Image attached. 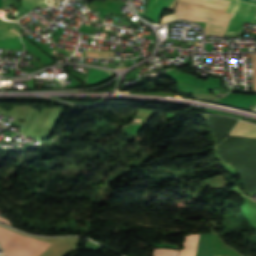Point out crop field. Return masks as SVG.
<instances>
[{
  "label": "crop field",
  "mask_w": 256,
  "mask_h": 256,
  "mask_svg": "<svg viewBox=\"0 0 256 256\" xmlns=\"http://www.w3.org/2000/svg\"><path fill=\"white\" fill-rule=\"evenodd\" d=\"M20 36L17 31L11 26L0 24V39H9Z\"/></svg>",
  "instance_id": "d8731c3e"
},
{
  "label": "crop field",
  "mask_w": 256,
  "mask_h": 256,
  "mask_svg": "<svg viewBox=\"0 0 256 256\" xmlns=\"http://www.w3.org/2000/svg\"><path fill=\"white\" fill-rule=\"evenodd\" d=\"M199 234L186 235L179 256H195ZM196 256H212L210 234H200Z\"/></svg>",
  "instance_id": "412701ff"
},
{
  "label": "crop field",
  "mask_w": 256,
  "mask_h": 256,
  "mask_svg": "<svg viewBox=\"0 0 256 256\" xmlns=\"http://www.w3.org/2000/svg\"><path fill=\"white\" fill-rule=\"evenodd\" d=\"M230 135L256 138V125L241 121L231 131Z\"/></svg>",
  "instance_id": "e52e79f7"
},
{
  "label": "crop field",
  "mask_w": 256,
  "mask_h": 256,
  "mask_svg": "<svg viewBox=\"0 0 256 256\" xmlns=\"http://www.w3.org/2000/svg\"><path fill=\"white\" fill-rule=\"evenodd\" d=\"M41 1L42 0H22V5L31 10L37 6L45 9L48 5L42 3Z\"/></svg>",
  "instance_id": "5a996713"
},
{
  "label": "crop field",
  "mask_w": 256,
  "mask_h": 256,
  "mask_svg": "<svg viewBox=\"0 0 256 256\" xmlns=\"http://www.w3.org/2000/svg\"><path fill=\"white\" fill-rule=\"evenodd\" d=\"M225 12L232 14L227 26L226 34L233 33L241 31L244 22H252L256 12V5L239 0H230Z\"/></svg>",
  "instance_id": "34b2d1b8"
},
{
  "label": "crop field",
  "mask_w": 256,
  "mask_h": 256,
  "mask_svg": "<svg viewBox=\"0 0 256 256\" xmlns=\"http://www.w3.org/2000/svg\"><path fill=\"white\" fill-rule=\"evenodd\" d=\"M0 221L11 225V223H10L8 220H6V219H4V218H2V217H0Z\"/></svg>",
  "instance_id": "d1516ede"
},
{
  "label": "crop field",
  "mask_w": 256,
  "mask_h": 256,
  "mask_svg": "<svg viewBox=\"0 0 256 256\" xmlns=\"http://www.w3.org/2000/svg\"><path fill=\"white\" fill-rule=\"evenodd\" d=\"M252 65H253L254 91H256V54H252Z\"/></svg>",
  "instance_id": "28ad6ade"
},
{
  "label": "crop field",
  "mask_w": 256,
  "mask_h": 256,
  "mask_svg": "<svg viewBox=\"0 0 256 256\" xmlns=\"http://www.w3.org/2000/svg\"><path fill=\"white\" fill-rule=\"evenodd\" d=\"M179 251L170 249H155L154 256H178Z\"/></svg>",
  "instance_id": "3316defc"
},
{
  "label": "crop field",
  "mask_w": 256,
  "mask_h": 256,
  "mask_svg": "<svg viewBox=\"0 0 256 256\" xmlns=\"http://www.w3.org/2000/svg\"><path fill=\"white\" fill-rule=\"evenodd\" d=\"M173 0H150L147 8L146 18L159 23V18L163 9H168Z\"/></svg>",
  "instance_id": "f4fd0767"
},
{
  "label": "crop field",
  "mask_w": 256,
  "mask_h": 256,
  "mask_svg": "<svg viewBox=\"0 0 256 256\" xmlns=\"http://www.w3.org/2000/svg\"><path fill=\"white\" fill-rule=\"evenodd\" d=\"M229 0H178L176 14L165 16L161 24L173 19L206 22V35L223 36L229 14L223 13Z\"/></svg>",
  "instance_id": "8a807250"
},
{
  "label": "crop field",
  "mask_w": 256,
  "mask_h": 256,
  "mask_svg": "<svg viewBox=\"0 0 256 256\" xmlns=\"http://www.w3.org/2000/svg\"><path fill=\"white\" fill-rule=\"evenodd\" d=\"M112 75V73L89 67V72L84 83L88 85L98 84L108 80Z\"/></svg>",
  "instance_id": "dd49c442"
},
{
  "label": "crop field",
  "mask_w": 256,
  "mask_h": 256,
  "mask_svg": "<svg viewBox=\"0 0 256 256\" xmlns=\"http://www.w3.org/2000/svg\"><path fill=\"white\" fill-rule=\"evenodd\" d=\"M49 245L0 227V247L6 256H38Z\"/></svg>",
  "instance_id": "ac0d7876"
}]
</instances>
